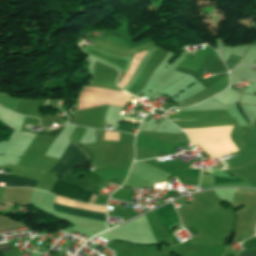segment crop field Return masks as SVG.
<instances>
[{
	"instance_id": "crop-field-1",
	"label": "crop field",
	"mask_w": 256,
	"mask_h": 256,
	"mask_svg": "<svg viewBox=\"0 0 256 256\" xmlns=\"http://www.w3.org/2000/svg\"><path fill=\"white\" fill-rule=\"evenodd\" d=\"M85 159H87V155L72 143L65 155L51 171L62 177Z\"/></svg>"
},
{
	"instance_id": "crop-field-5",
	"label": "crop field",
	"mask_w": 256,
	"mask_h": 256,
	"mask_svg": "<svg viewBox=\"0 0 256 256\" xmlns=\"http://www.w3.org/2000/svg\"><path fill=\"white\" fill-rule=\"evenodd\" d=\"M240 256H256V251L242 253Z\"/></svg>"
},
{
	"instance_id": "crop-field-3",
	"label": "crop field",
	"mask_w": 256,
	"mask_h": 256,
	"mask_svg": "<svg viewBox=\"0 0 256 256\" xmlns=\"http://www.w3.org/2000/svg\"><path fill=\"white\" fill-rule=\"evenodd\" d=\"M0 182L6 183V186H30L33 187L36 181L15 177L12 175H0Z\"/></svg>"
},
{
	"instance_id": "crop-field-6",
	"label": "crop field",
	"mask_w": 256,
	"mask_h": 256,
	"mask_svg": "<svg viewBox=\"0 0 256 256\" xmlns=\"http://www.w3.org/2000/svg\"><path fill=\"white\" fill-rule=\"evenodd\" d=\"M169 120H174V119H169Z\"/></svg>"
},
{
	"instance_id": "crop-field-2",
	"label": "crop field",
	"mask_w": 256,
	"mask_h": 256,
	"mask_svg": "<svg viewBox=\"0 0 256 256\" xmlns=\"http://www.w3.org/2000/svg\"><path fill=\"white\" fill-rule=\"evenodd\" d=\"M52 210L56 211V212H61V213H65V214H70V215H74V216H79V217H84V218H89V219L106 222V215H104V214L81 211V210L73 209L70 207H66V206H62V205H58V204H54V203L52 204Z\"/></svg>"
},
{
	"instance_id": "crop-field-4",
	"label": "crop field",
	"mask_w": 256,
	"mask_h": 256,
	"mask_svg": "<svg viewBox=\"0 0 256 256\" xmlns=\"http://www.w3.org/2000/svg\"><path fill=\"white\" fill-rule=\"evenodd\" d=\"M11 251L10 247L8 246L7 243L5 244H0V252H8Z\"/></svg>"
}]
</instances>
